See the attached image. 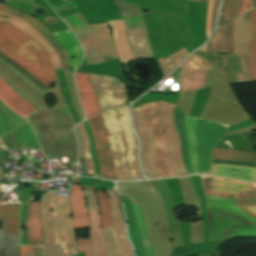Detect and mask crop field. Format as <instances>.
<instances>
[{
	"label": "crop field",
	"mask_w": 256,
	"mask_h": 256,
	"mask_svg": "<svg viewBox=\"0 0 256 256\" xmlns=\"http://www.w3.org/2000/svg\"><path fill=\"white\" fill-rule=\"evenodd\" d=\"M209 241L241 236H256V222L206 205Z\"/></svg>",
	"instance_id": "crop-field-6"
},
{
	"label": "crop field",
	"mask_w": 256,
	"mask_h": 256,
	"mask_svg": "<svg viewBox=\"0 0 256 256\" xmlns=\"http://www.w3.org/2000/svg\"><path fill=\"white\" fill-rule=\"evenodd\" d=\"M21 256H43L42 246H36V247L21 246Z\"/></svg>",
	"instance_id": "crop-field-45"
},
{
	"label": "crop field",
	"mask_w": 256,
	"mask_h": 256,
	"mask_svg": "<svg viewBox=\"0 0 256 256\" xmlns=\"http://www.w3.org/2000/svg\"><path fill=\"white\" fill-rule=\"evenodd\" d=\"M19 218H4L5 234H20L18 231Z\"/></svg>",
	"instance_id": "crop-field-44"
},
{
	"label": "crop field",
	"mask_w": 256,
	"mask_h": 256,
	"mask_svg": "<svg viewBox=\"0 0 256 256\" xmlns=\"http://www.w3.org/2000/svg\"><path fill=\"white\" fill-rule=\"evenodd\" d=\"M76 126L78 127V129L81 133V136H82V140H83V151H84V155H85L86 168L89 172V175L95 176L94 167H93V164H92L91 158H90V149H89L88 137L86 135V132L84 130V127H83L82 123H79Z\"/></svg>",
	"instance_id": "crop-field-40"
},
{
	"label": "crop field",
	"mask_w": 256,
	"mask_h": 256,
	"mask_svg": "<svg viewBox=\"0 0 256 256\" xmlns=\"http://www.w3.org/2000/svg\"><path fill=\"white\" fill-rule=\"evenodd\" d=\"M252 2L253 0H242L238 11V16L243 12L250 10L252 7Z\"/></svg>",
	"instance_id": "crop-field-50"
},
{
	"label": "crop field",
	"mask_w": 256,
	"mask_h": 256,
	"mask_svg": "<svg viewBox=\"0 0 256 256\" xmlns=\"http://www.w3.org/2000/svg\"><path fill=\"white\" fill-rule=\"evenodd\" d=\"M0 173H1V169H0Z\"/></svg>",
	"instance_id": "crop-field-61"
},
{
	"label": "crop field",
	"mask_w": 256,
	"mask_h": 256,
	"mask_svg": "<svg viewBox=\"0 0 256 256\" xmlns=\"http://www.w3.org/2000/svg\"><path fill=\"white\" fill-rule=\"evenodd\" d=\"M44 21H45V23H46L47 25L52 24V23H55V22H58V20L55 18V16L46 18V19H44Z\"/></svg>",
	"instance_id": "crop-field-58"
},
{
	"label": "crop field",
	"mask_w": 256,
	"mask_h": 256,
	"mask_svg": "<svg viewBox=\"0 0 256 256\" xmlns=\"http://www.w3.org/2000/svg\"><path fill=\"white\" fill-rule=\"evenodd\" d=\"M0 11L13 14L19 19L27 22L31 27L37 30L46 40H48L52 44L60 58L61 66L64 67L70 65L59 41L56 39L54 35L51 34V32L47 28L41 25L42 23L40 24L33 17L27 14L9 9L7 6H0Z\"/></svg>",
	"instance_id": "crop-field-18"
},
{
	"label": "crop field",
	"mask_w": 256,
	"mask_h": 256,
	"mask_svg": "<svg viewBox=\"0 0 256 256\" xmlns=\"http://www.w3.org/2000/svg\"><path fill=\"white\" fill-rule=\"evenodd\" d=\"M41 149L48 159L67 157V164L77 162L74 123L66 105L53 111H37L28 118Z\"/></svg>",
	"instance_id": "crop-field-2"
},
{
	"label": "crop field",
	"mask_w": 256,
	"mask_h": 256,
	"mask_svg": "<svg viewBox=\"0 0 256 256\" xmlns=\"http://www.w3.org/2000/svg\"><path fill=\"white\" fill-rule=\"evenodd\" d=\"M88 122L92 128L96 140V153L100 161L102 177L107 179H117L100 114L88 119Z\"/></svg>",
	"instance_id": "crop-field-13"
},
{
	"label": "crop field",
	"mask_w": 256,
	"mask_h": 256,
	"mask_svg": "<svg viewBox=\"0 0 256 256\" xmlns=\"http://www.w3.org/2000/svg\"><path fill=\"white\" fill-rule=\"evenodd\" d=\"M78 251L86 250V256H91V240L90 239H78L77 240Z\"/></svg>",
	"instance_id": "crop-field-48"
},
{
	"label": "crop field",
	"mask_w": 256,
	"mask_h": 256,
	"mask_svg": "<svg viewBox=\"0 0 256 256\" xmlns=\"http://www.w3.org/2000/svg\"><path fill=\"white\" fill-rule=\"evenodd\" d=\"M212 163L256 167V163H250V162H239V161H228V160L212 159Z\"/></svg>",
	"instance_id": "crop-field-49"
},
{
	"label": "crop field",
	"mask_w": 256,
	"mask_h": 256,
	"mask_svg": "<svg viewBox=\"0 0 256 256\" xmlns=\"http://www.w3.org/2000/svg\"><path fill=\"white\" fill-rule=\"evenodd\" d=\"M240 1H241V0H234L233 6H232V9H231V13H230L229 21L232 20V19H234V18H236Z\"/></svg>",
	"instance_id": "crop-field-53"
},
{
	"label": "crop field",
	"mask_w": 256,
	"mask_h": 256,
	"mask_svg": "<svg viewBox=\"0 0 256 256\" xmlns=\"http://www.w3.org/2000/svg\"><path fill=\"white\" fill-rule=\"evenodd\" d=\"M0 51L18 62L48 87L57 79L46 50L7 21L0 23Z\"/></svg>",
	"instance_id": "crop-field-4"
},
{
	"label": "crop field",
	"mask_w": 256,
	"mask_h": 256,
	"mask_svg": "<svg viewBox=\"0 0 256 256\" xmlns=\"http://www.w3.org/2000/svg\"><path fill=\"white\" fill-rule=\"evenodd\" d=\"M156 103L152 102L141 106L142 117L154 139L153 161L163 178L175 177L174 172L167 164V137L156 117Z\"/></svg>",
	"instance_id": "crop-field-9"
},
{
	"label": "crop field",
	"mask_w": 256,
	"mask_h": 256,
	"mask_svg": "<svg viewBox=\"0 0 256 256\" xmlns=\"http://www.w3.org/2000/svg\"><path fill=\"white\" fill-rule=\"evenodd\" d=\"M215 148H219V149H231L232 147L231 145L228 143V141H224V140H220Z\"/></svg>",
	"instance_id": "crop-field-55"
},
{
	"label": "crop field",
	"mask_w": 256,
	"mask_h": 256,
	"mask_svg": "<svg viewBox=\"0 0 256 256\" xmlns=\"http://www.w3.org/2000/svg\"><path fill=\"white\" fill-rule=\"evenodd\" d=\"M65 1H68V0H63V2H65Z\"/></svg>",
	"instance_id": "crop-field-59"
},
{
	"label": "crop field",
	"mask_w": 256,
	"mask_h": 256,
	"mask_svg": "<svg viewBox=\"0 0 256 256\" xmlns=\"http://www.w3.org/2000/svg\"><path fill=\"white\" fill-rule=\"evenodd\" d=\"M38 205H39V202L29 203V208H28V203L22 204L21 221H20V231L22 236L21 245H27V242H28L27 230H22V225L26 226L27 208H28L27 226H28V235H29L28 245L42 244L41 236H40V222L38 218Z\"/></svg>",
	"instance_id": "crop-field-17"
},
{
	"label": "crop field",
	"mask_w": 256,
	"mask_h": 256,
	"mask_svg": "<svg viewBox=\"0 0 256 256\" xmlns=\"http://www.w3.org/2000/svg\"><path fill=\"white\" fill-rule=\"evenodd\" d=\"M250 13L251 10L233 20V54L239 57L243 74L246 77L248 74L244 56L249 55L248 26Z\"/></svg>",
	"instance_id": "crop-field-15"
},
{
	"label": "crop field",
	"mask_w": 256,
	"mask_h": 256,
	"mask_svg": "<svg viewBox=\"0 0 256 256\" xmlns=\"http://www.w3.org/2000/svg\"><path fill=\"white\" fill-rule=\"evenodd\" d=\"M132 116H133V122H134L136 133L142 145L141 161L144 166L145 173L148 179L161 178L153 166V162H152L153 143H152L151 135L141 118L139 106L132 109Z\"/></svg>",
	"instance_id": "crop-field-14"
},
{
	"label": "crop field",
	"mask_w": 256,
	"mask_h": 256,
	"mask_svg": "<svg viewBox=\"0 0 256 256\" xmlns=\"http://www.w3.org/2000/svg\"><path fill=\"white\" fill-rule=\"evenodd\" d=\"M250 56L245 57L248 74L252 82L256 81V9L252 11L249 28Z\"/></svg>",
	"instance_id": "crop-field-27"
},
{
	"label": "crop field",
	"mask_w": 256,
	"mask_h": 256,
	"mask_svg": "<svg viewBox=\"0 0 256 256\" xmlns=\"http://www.w3.org/2000/svg\"><path fill=\"white\" fill-rule=\"evenodd\" d=\"M62 20L73 30L81 43L86 55L87 65L103 62L97 38L81 13L62 18Z\"/></svg>",
	"instance_id": "crop-field-12"
},
{
	"label": "crop field",
	"mask_w": 256,
	"mask_h": 256,
	"mask_svg": "<svg viewBox=\"0 0 256 256\" xmlns=\"http://www.w3.org/2000/svg\"><path fill=\"white\" fill-rule=\"evenodd\" d=\"M208 205L256 221V184L214 176H200Z\"/></svg>",
	"instance_id": "crop-field-5"
},
{
	"label": "crop field",
	"mask_w": 256,
	"mask_h": 256,
	"mask_svg": "<svg viewBox=\"0 0 256 256\" xmlns=\"http://www.w3.org/2000/svg\"><path fill=\"white\" fill-rule=\"evenodd\" d=\"M90 27L98 38L103 53L104 62L117 59L118 57L116 55L115 48L110 37L108 25L106 23L92 24L90 25Z\"/></svg>",
	"instance_id": "crop-field-26"
},
{
	"label": "crop field",
	"mask_w": 256,
	"mask_h": 256,
	"mask_svg": "<svg viewBox=\"0 0 256 256\" xmlns=\"http://www.w3.org/2000/svg\"><path fill=\"white\" fill-rule=\"evenodd\" d=\"M1 16V15H0ZM2 17H5V16H2ZM6 18H8V17H6Z\"/></svg>",
	"instance_id": "crop-field-60"
},
{
	"label": "crop field",
	"mask_w": 256,
	"mask_h": 256,
	"mask_svg": "<svg viewBox=\"0 0 256 256\" xmlns=\"http://www.w3.org/2000/svg\"><path fill=\"white\" fill-rule=\"evenodd\" d=\"M11 132L14 134L17 142L19 143V147L40 150L28 122Z\"/></svg>",
	"instance_id": "crop-field-31"
},
{
	"label": "crop field",
	"mask_w": 256,
	"mask_h": 256,
	"mask_svg": "<svg viewBox=\"0 0 256 256\" xmlns=\"http://www.w3.org/2000/svg\"><path fill=\"white\" fill-rule=\"evenodd\" d=\"M10 131H8L6 129V127L4 126V124L2 123V121L0 120V139L2 141V139L9 133Z\"/></svg>",
	"instance_id": "crop-field-56"
},
{
	"label": "crop field",
	"mask_w": 256,
	"mask_h": 256,
	"mask_svg": "<svg viewBox=\"0 0 256 256\" xmlns=\"http://www.w3.org/2000/svg\"><path fill=\"white\" fill-rule=\"evenodd\" d=\"M1 144V143H0Z\"/></svg>",
	"instance_id": "crop-field-62"
},
{
	"label": "crop field",
	"mask_w": 256,
	"mask_h": 256,
	"mask_svg": "<svg viewBox=\"0 0 256 256\" xmlns=\"http://www.w3.org/2000/svg\"><path fill=\"white\" fill-rule=\"evenodd\" d=\"M112 1L124 19L128 44L134 58H155L148 42L144 17L138 7L122 0Z\"/></svg>",
	"instance_id": "crop-field-7"
},
{
	"label": "crop field",
	"mask_w": 256,
	"mask_h": 256,
	"mask_svg": "<svg viewBox=\"0 0 256 256\" xmlns=\"http://www.w3.org/2000/svg\"><path fill=\"white\" fill-rule=\"evenodd\" d=\"M75 79L80 101L84 108L86 118L99 114L98 105L92 89L89 75L75 72Z\"/></svg>",
	"instance_id": "crop-field-19"
},
{
	"label": "crop field",
	"mask_w": 256,
	"mask_h": 256,
	"mask_svg": "<svg viewBox=\"0 0 256 256\" xmlns=\"http://www.w3.org/2000/svg\"><path fill=\"white\" fill-rule=\"evenodd\" d=\"M90 232H96L99 244V256H105V245L100 228L99 211L89 212Z\"/></svg>",
	"instance_id": "crop-field-35"
},
{
	"label": "crop field",
	"mask_w": 256,
	"mask_h": 256,
	"mask_svg": "<svg viewBox=\"0 0 256 256\" xmlns=\"http://www.w3.org/2000/svg\"><path fill=\"white\" fill-rule=\"evenodd\" d=\"M198 118L191 116H184V127L187 133L188 139V152L189 159L193 174H198L196 153H195V140L193 135V128Z\"/></svg>",
	"instance_id": "crop-field-30"
},
{
	"label": "crop field",
	"mask_w": 256,
	"mask_h": 256,
	"mask_svg": "<svg viewBox=\"0 0 256 256\" xmlns=\"http://www.w3.org/2000/svg\"><path fill=\"white\" fill-rule=\"evenodd\" d=\"M53 34L58 38L63 46L71 64V69L75 70L83 57L82 49L75 36L69 29Z\"/></svg>",
	"instance_id": "crop-field-21"
},
{
	"label": "crop field",
	"mask_w": 256,
	"mask_h": 256,
	"mask_svg": "<svg viewBox=\"0 0 256 256\" xmlns=\"http://www.w3.org/2000/svg\"><path fill=\"white\" fill-rule=\"evenodd\" d=\"M68 200L69 196L57 195V191L42 196L40 220L44 256H77Z\"/></svg>",
	"instance_id": "crop-field-1"
},
{
	"label": "crop field",
	"mask_w": 256,
	"mask_h": 256,
	"mask_svg": "<svg viewBox=\"0 0 256 256\" xmlns=\"http://www.w3.org/2000/svg\"><path fill=\"white\" fill-rule=\"evenodd\" d=\"M89 211L99 210L94 191L85 189Z\"/></svg>",
	"instance_id": "crop-field-47"
},
{
	"label": "crop field",
	"mask_w": 256,
	"mask_h": 256,
	"mask_svg": "<svg viewBox=\"0 0 256 256\" xmlns=\"http://www.w3.org/2000/svg\"><path fill=\"white\" fill-rule=\"evenodd\" d=\"M99 197L102 212V230L112 225L109 200L105 192L96 191Z\"/></svg>",
	"instance_id": "crop-field-39"
},
{
	"label": "crop field",
	"mask_w": 256,
	"mask_h": 256,
	"mask_svg": "<svg viewBox=\"0 0 256 256\" xmlns=\"http://www.w3.org/2000/svg\"><path fill=\"white\" fill-rule=\"evenodd\" d=\"M228 125L200 118L195 128L197 159L199 173L211 174L210 154L219 139L224 135Z\"/></svg>",
	"instance_id": "crop-field-8"
},
{
	"label": "crop field",
	"mask_w": 256,
	"mask_h": 256,
	"mask_svg": "<svg viewBox=\"0 0 256 256\" xmlns=\"http://www.w3.org/2000/svg\"><path fill=\"white\" fill-rule=\"evenodd\" d=\"M82 123L87 131V134H88V137L90 140L91 158H92L93 164L95 166L96 176L101 177V170H100L99 162H98V159H97L96 153H95V147H96L95 140L93 138V135H92V132H91V129H90V126H89L87 120L83 121Z\"/></svg>",
	"instance_id": "crop-field-42"
},
{
	"label": "crop field",
	"mask_w": 256,
	"mask_h": 256,
	"mask_svg": "<svg viewBox=\"0 0 256 256\" xmlns=\"http://www.w3.org/2000/svg\"><path fill=\"white\" fill-rule=\"evenodd\" d=\"M212 158L256 162V153L214 149Z\"/></svg>",
	"instance_id": "crop-field-33"
},
{
	"label": "crop field",
	"mask_w": 256,
	"mask_h": 256,
	"mask_svg": "<svg viewBox=\"0 0 256 256\" xmlns=\"http://www.w3.org/2000/svg\"><path fill=\"white\" fill-rule=\"evenodd\" d=\"M70 206L74 216L72 219L73 229L76 230L88 227V216L82 187L72 186Z\"/></svg>",
	"instance_id": "crop-field-20"
},
{
	"label": "crop field",
	"mask_w": 256,
	"mask_h": 256,
	"mask_svg": "<svg viewBox=\"0 0 256 256\" xmlns=\"http://www.w3.org/2000/svg\"><path fill=\"white\" fill-rule=\"evenodd\" d=\"M133 206V210H134V214L136 217V222H137V226H138V231L140 233L141 239H142V243H143V247L147 253V256H154L149 241H148V237H147V233L145 230V226L143 223V219L140 213V209L138 205L132 204Z\"/></svg>",
	"instance_id": "crop-field-37"
},
{
	"label": "crop field",
	"mask_w": 256,
	"mask_h": 256,
	"mask_svg": "<svg viewBox=\"0 0 256 256\" xmlns=\"http://www.w3.org/2000/svg\"><path fill=\"white\" fill-rule=\"evenodd\" d=\"M122 199H123V203H124V207H125V211H126V215H127L129 236H130V239L134 246L136 256H146V254L143 250L141 241H140V237H139L137 228H136L133 211H132V207L130 204V199H128L126 197H122Z\"/></svg>",
	"instance_id": "crop-field-28"
},
{
	"label": "crop field",
	"mask_w": 256,
	"mask_h": 256,
	"mask_svg": "<svg viewBox=\"0 0 256 256\" xmlns=\"http://www.w3.org/2000/svg\"><path fill=\"white\" fill-rule=\"evenodd\" d=\"M180 66L181 76L205 69H210L212 67L204 58L194 53Z\"/></svg>",
	"instance_id": "crop-field-32"
},
{
	"label": "crop field",
	"mask_w": 256,
	"mask_h": 256,
	"mask_svg": "<svg viewBox=\"0 0 256 256\" xmlns=\"http://www.w3.org/2000/svg\"><path fill=\"white\" fill-rule=\"evenodd\" d=\"M118 179H139L137 141L131 129L127 107L101 113Z\"/></svg>",
	"instance_id": "crop-field-3"
},
{
	"label": "crop field",
	"mask_w": 256,
	"mask_h": 256,
	"mask_svg": "<svg viewBox=\"0 0 256 256\" xmlns=\"http://www.w3.org/2000/svg\"><path fill=\"white\" fill-rule=\"evenodd\" d=\"M103 236L106 245V256H118L117 248L114 241L112 226L103 230Z\"/></svg>",
	"instance_id": "crop-field-41"
},
{
	"label": "crop field",
	"mask_w": 256,
	"mask_h": 256,
	"mask_svg": "<svg viewBox=\"0 0 256 256\" xmlns=\"http://www.w3.org/2000/svg\"><path fill=\"white\" fill-rule=\"evenodd\" d=\"M237 76V79L239 81V84H243V83H249L251 82L250 80H248L243 74L242 72L240 73H235Z\"/></svg>",
	"instance_id": "crop-field-57"
},
{
	"label": "crop field",
	"mask_w": 256,
	"mask_h": 256,
	"mask_svg": "<svg viewBox=\"0 0 256 256\" xmlns=\"http://www.w3.org/2000/svg\"><path fill=\"white\" fill-rule=\"evenodd\" d=\"M0 217H19V204L0 205Z\"/></svg>",
	"instance_id": "crop-field-43"
},
{
	"label": "crop field",
	"mask_w": 256,
	"mask_h": 256,
	"mask_svg": "<svg viewBox=\"0 0 256 256\" xmlns=\"http://www.w3.org/2000/svg\"><path fill=\"white\" fill-rule=\"evenodd\" d=\"M206 71L181 77L182 91L198 89L203 86Z\"/></svg>",
	"instance_id": "crop-field-36"
},
{
	"label": "crop field",
	"mask_w": 256,
	"mask_h": 256,
	"mask_svg": "<svg viewBox=\"0 0 256 256\" xmlns=\"http://www.w3.org/2000/svg\"><path fill=\"white\" fill-rule=\"evenodd\" d=\"M172 107V104L158 102L157 115L168 137V163L177 176H185L187 174L181 160L179 137L172 118Z\"/></svg>",
	"instance_id": "crop-field-11"
},
{
	"label": "crop field",
	"mask_w": 256,
	"mask_h": 256,
	"mask_svg": "<svg viewBox=\"0 0 256 256\" xmlns=\"http://www.w3.org/2000/svg\"><path fill=\"white\" fill-rule=\"evenodd\" d=\"M218 4H219V0H215L214 1V5H213V9H212L211 32H212V30L214 28Z\"/></svg>",
	"instance_id": "crop-field-52"
},
{
	"label": "crop field",
	"mask_w": 256,
	"mask_h": 256,
	"mask_svg": "<svg viewBox=\"0 0 256 256\" xmlns=\"http://www.w3.org/2000/svg\"><path fill=\"white\" fill-rule=\"evenodd\" d=\"M213 1L214 0H209V4H208L207 23H206V39L210 35V17H211V9H212V5H213Z\"/></svg>",
	"instance_id": "crop-field-51"
},
{
	"label": "crop field",
	"mask_w": 256,
	"mask_h": 256,
	"mask_svg": "<svg viewBox=\"0 0 256 256\" xmlns=\"http://www.w3.org/2000/svg\"><path fill=\"white\" fill-rule=\"evenodd\" d=\"M183 116H184V112L174 105L173 117H174V122L177 128V131L180 136L182 159L184 161L187 173L188 175H190L192 174V172H191L189 159H188L187 140L185 137L184 127H183Z\"/></svg>",
	"instance_id": "crop-field-29"
},
{
	"label": "crop field",
	"mask_w": 256,
	"mask_h": 256,
	"mask_svg": "<svg viewBox=\"0 0 256 256\" xmlns=\"http://www.w3.org/2000/svg\"><path fill=\"white\" fill-rule=\"evenodd\" d=\"M0 96L12 107H14L16 110H18L25 116H28L30 113L36 111L32 105L26 103L23 99H21L1 79H0ZM1 97H0V100L4 102L10 109L18 113L19 115L23 116L21 113H19L10 105H8ZM25 116L23 117L27 118Z\"/></svg>",
	"instance_id": "crop-field-24"
},
{
	"label": "crop field",
	"mask_w": 256,
	"mask_h": 256,
	"mask_svg": "<svg viewBox=\"0 0 256 256\" xmlns=\"http://www.w3.org/2000/svg\"><path fill=\"white\" fill-rule=\"evenodd\" d=\"M89 236L90 238H92V242H93V256H98V244H97L96 235L94 233V234H90Z\"/></svg>",
	"instance_id": "crop-field-54"
},
{
	"label": "crop field",
	"mask_w": 256,
	"mask_h": 256,
	"mask_svg": "<svg viewBox=\"0 0 256 256\" xmlns=\"http://www.w3.org/2000/svg\"><path fill=\"white\" fill-rule=\"evenodd\" d=\"M107 23L113 30V39L121 62L133 60L134 58L127 45L123 20L110 21Z\"/></svg>",
	"instance_id": "crop-field-25"
},
{
	"label": "crop field",
	"mask_w": 256,
	"mask_h": 256,
	"mask_svg": "<svg viewBox=\"0 0 256 256\" xmlns=\"http://www.w3.org/2000/svg\"><path fill=\"white\" fill-rule=\"evenodd\" d=\"M232 2L233 1H223L221 14H220L219 25L228 21L230 9H231V6H232Z\"/></svg>",
	"instance_id": "crop-field-46"
},
{
	"label": "crop field",
	"mask_w": 256,
	"mask_h": 256,
	"mask_svg": "<svg viewBox=\"0 0 256 256\" xmlns=\"http://www.w3.org/2000/svg\"><path fill=\"white\" fill-rule=\"evenodd\" d=\"M110 198V206L113 217V231L119 252V256H132L131 247L126 239L125 224L115 190H107Z\"/></svg>",
	"instance_id": "crop-field-16"
},
{
	"label": "crop field",
	"mask_w": 256,
	"mask_h": 256,
	"mask_svg": "<svg viewBox=\"0 0 256 256\" xmlns=\"http://www.w3.org/2000/svg\"><path fill=\"white\" fill-rule=\"evenodd\" d=\"M0 14L6 15V16H11L9 14L2 13V12H0ZM3 20H5V18L0 17V22H2ZM7 20L10 21L11 23H13L18 28H20L26 34L31 36L37 42H39L48 51L53 68L61 67L59 58H58L54 48L38 32H36L33 28H31L27 23L17 19L15 16H12V17L8 18Z\"/></svg>",
	"instance_id": "crop-field-23"
},
{
	"label": "crop field",
	"mask_w": 256,
	"mask_h": 256,
	"mask_svg": "<svg viewBox=\"0 0 256 256\" xmlns=\"http://www.w3.org/2000/svg\"><path fill=\"white\" fill-rule=\"evenodd\" d=\"M212 175L256 182V168L212 164Z\"/></svg>",
	"instance_id": "crop-field-22"
},
{
	"label": "crop field",
	"mask_w": 256,
	"mask_h": 256,
	"mask_svg": "<svg viewBox=\"0 0 256 256\" xmlns=\"http://www.w3.org/2000/svg\"><path fill=\"white\" fill-rule=\"evenodd\" d=\"M0 119L4 122V124L10 131L18 127L19 125L23 124L24 122H26V120L17 116L7 107H5L1 102H0Z\"/></svg>",
	"instance_id": "crop-field-34"
},
{
	"label": "crop field",
	"mask_w": 256,
	"mask_h": 256,
	"mask_svg": "<svg viewBox=\"0 0 256 256\" xmlns=\"http://www.w3.org/2000/svg\"><path fill=\"white\" fill-rule=\"evenodd\" d=\"M187 51L184 49L170 55L169 57L159 61L164 76L170 72L186 55Z\"/></svg>",
	"instance_id": "crop-field-38"
},
{
	"label": "crop field",
	"mask_w": 256,
	"mask_h": 256,
	"mask_svg": "<svg viewBox=\"0 0 256 256\" xmlns=\"http://www.w3.org/2000/svg\"><path fill=\"white\" fill-rule=\"evenodd\" d=\"M99 104L100 112L118 107L127 102L125 84L113 77L89 74Z\"/></svg>",
	"instance_id": "crop-field-10"
}]
</instances>
